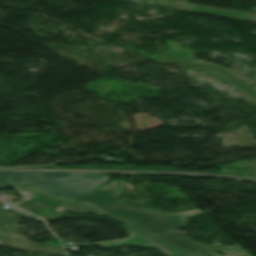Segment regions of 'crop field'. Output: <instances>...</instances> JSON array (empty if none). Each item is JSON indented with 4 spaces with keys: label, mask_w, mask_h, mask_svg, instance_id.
Segmentation results:
<instances>
[{
    "label": "crop field",
    "mask_w": 256,
    "mask_h": 256,
    "mask_svg": "<svg viewBox=\"0 0 256 256\" xmlns=\"http://www.w3.org/2000/svg\"><path fill=\"white\" fill-rule=\"evenodd\" d=\"M113 183L102 186L95 192L71 200L91 205L111 218L131 222L152 234L167 231L172 227L183 226L185 217L202 213V211L194 209L170 214L161 210H143L138 207H132L118 198V195L127 189L120 188ZM125 184L130 186L128 189L133 188L131 184Z\"/></svg>",
    "instance_id": "1"
},
{
    "label": "crop field",
    "mask_w": 256,
    "mask_h": 256,
    "mask_svg": "<svg viewBox=\"0 0 256 256\" xmlns=\"http://www.w3.org/2000/svg\"><path fill=\"white\" fill-rule=\"evenodd\" d=\"M107 178L93 173L0 171V187L29 184L69 198L97 188Z\"/></svg>",
    "instance_id": "2"
},
{
    "label": "crop field",
    "mask_w": 256,
    "mask_h": 256,
    "mask_svg": "<svg viewBox=\"0 0 256 256\" xmlns=\"http://www.w3.org/2000/svg\"><path fill=\"white\" fill-rule=\"evenodd\" d=\"M13 187L26 197L18 203L17 206L41 217L44 220L61 217V214L57 211L58 208H68L77 213H88L93 211L102 215L88 206L71 202L29 186Z\"/></svg>",
    "instance_id": "3"
},
{
    "label": "crop field",
    "mask_w": 256,
    "mask_h": 256,
    "mask_svg": "<svg viewBox=\"0 0 256 256\" xmlns=\"http://www.w3.org/2000/svg\"><path fill=\"white\" fill-rule=\"evenodd\" d=\"M4 203L0 201V243L14 245L16 247L41 250L47 253L65 254L62 247L34 244L28 241L15 227V222L22 217L31 220H39L37 217L26 213L12 205L2 208Z\"/></svg>",
    "instance_id": "4"
},
{
    "label": "crop field",
    "mask_w": 256,
    "mask_h": 256,
    "mask_svg": "<svg viewBox=\"0 0 256 256\" xmlns=\"http://www.w3.org/2000/svg\"><path fill=\"white\" fill-rule=\"evenodd\" d=\"M157 238L175 247L189 256H214L217 255L209 251V247H213L224 253L240 250L238 245H234L235 249H228L218 244L204 246L198 242L191 241L180 234H174L172 232L156 235Z\"/></svg>",
    "instance_id": "5"
},
{
    "label": "crop field",
    "mask_w": 256,
    "mask_h": 256,
    "mask_svg": "<svg viewBox=\"0 0 256 256\" xmlns=\"http://www.w3.org/2000/svg\"><path fill=\"white\" fill-rule=\"evenodd\" d=\"M123 227H125L131 234L130 239L123 240V241L99 243V245L110 246V245H120V244H133V245H138L143 247L157 248L173 256H185L184 254L173 249L172 247L168 246L167 244L163 243L162 241L158 240L157 238L151 236L150 234L146 233L145 231L139 229L138 227L132 224H127V225H124Z\"/></svg>",
    "instance_id": "6"
}]
</instances>
